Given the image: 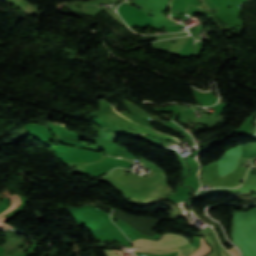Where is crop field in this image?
I'll return each instance as SVG.
<instances>
[{
  "instance_id": "1",
  "label": "crop field",
  "mask_w": 256,
  "mask_h": 256,
  "mask_svg": "<svg viewBox=\"0 0 256 256\" xmlns=\"http://www.w3.org/2000/svg\"><path fill=\"white\" fill-rule=\"evenodd\" d=\"M134 246L148 247H178L188 244V241L177 234H163L160 240L136 239L132 240Z\"/></svg>"
},
{
  "instance_id": "2",
  "label": "crop field",
  "mask_w": 256,
  "mask_h": 256,
  "mask_svg": "<svg viewBox=\"0 0 256 256\" xmlns=\"http://www.w3.org/2000/svg\"><path fill=\"white\" fill-rule=\"evenodd\" d=\"M197 246L188 244L185 246H181L178 248H147L143 247V250H135L141 252H151V253H158V254H165L170 252L178 251V256H188Z\"/></svg>"
},
{
  "instance_id": "3",
  "label": "crop field",
  "mask_w": 256,
  "mask_h": 256,
  "mask_svg": "<svg viewBox=\"0 0 256 256\" xmlns=\"http://www.w3.org/2000/svg\"><path fill=\"white\" fill-rule=\"evenodd\" d=\"M20 204H21L20 196L18 194L11 195V206L7 211L0 214V217L7 214V213H10V212L14 211Z\"/></svg>"
},
{
  "instance_id": "4",
  "label": "crop field",
  "mask_w": 256,
  "mask_h": 256,
  "mask_svg": "<svg viewBox=\"0 0 256 256\" xmlns=\"http://www.w3.org/2000/svg\"><path fill=\"white\" fill-rule=\"evenodd\" d=\"M201 239H202V243H201L200 248L190 256H203V255L207 254L208 251L210 250V248L206 245L203 238H201Z\"/></svg>"
},
{
  "instance_id": "5",
  "label": "crop field",
  "mask_w": 256,
  "mask_h": 256,
  "mask_svg": "<svg viewBox=\"0 0 256 256\" xmlns=\"http://www.w3.org/2000/svg\"><path fill=\"white\" fill-rule=\"evenodd\" d=\"M7 220H9V219H7L6 217H3V218H1L0 219V225L2 224V223H4L5 221H7ZM0 227H7V228H12L13 229V227H11V226H9V225H7V224H2Z\"/></svg>"
},
{
  "instance_id": "6",
  "label": "crop field",
  "mask_w": 256,
  "mask_h": 256,
  "mask_svg": "<svg viewBox=\"0 0 256 256\" xmlns=\"http://www.w3.org/2000/svg\"><path fill=\"white\" fill-rule=\"evenodd\" d=\"M104 252L107 254V256H118L114 251L112 250H104Z\"/></svg>"
},
{
  "instance_id": "7",
  "label": "crop field",
  "mask_w": 256,
  "mask_h": 256,
  "mask_svg": "<svg viewBox=\"0 0 256 256\" xmlns=\"http://www.w3.org/2000/svg\"><path fill=\"white\" fill-rule=\"evenodd\" d=\"M116 251V250H114ZM120 256H122V252L121 251H116Z\"/></svg>"
},
{
  "instance_id": "8",
  "label": "crop field",
  "mask_w": 256,
  "mask_h": 256,
  "mask_svg": "<svg viewBox=\"0 0 256 256\" xmlns=\"http://www.w3.org/2000/svg\"><path fill=\"white\" fill-rule=\"evenodd\" d=\"M125 160H127V159H125Z\"/></svg>"
}]
</instances>
